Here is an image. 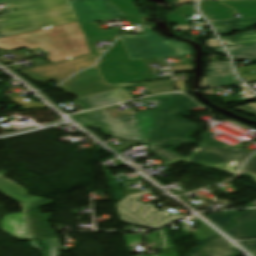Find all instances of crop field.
I'll return each instance as SVG.
<instances>
[{
    "mask_svg": "<svg viewBox=\"0 0 256 256\" xmlns=\"http://www.w3.org/2000/svg\"><path fill=\"white\" fill-rule=\"evenodd\" d=\"M60 88L77 98L116 90V88L104 82L96 66L73 76L70 80L62 83Z\"/></svg>",
    "mask_w": 256,
    "mask_h": 256,
    "instance_id": "11",
    "label": "crop field"
},
{
    "mask_svg": "<svg viewBox=\"0 0 256 256\" xmlns=\"http://www.w3.org/2000/svg\"><path fill=\"white\" fill-rule=\"evenodd\" d=\"M141 27L146 34L121 36L131 60L191 54L187 44L175 40L165 41L146 25Z\"/></svg>",
    "mask_w": 256,
    "mask_h": 256,
    "instance_id": "6",
    "label": "crop field"
},
{
    "mask_svg": "<svg viewBox=\"0 0 256 256\" xmlns=\"http://www.w3.org/2000/svg\"><path fill=\"white\" fill-rule=\"evenodd\" d=\"M227 49L232 56L256 55V43L247 45L228 46Z\"/></svg>",
    "mask_w": 256,
    "mask_h": 256,
    "instance_id": "24",
    "label": "crop field"
},
{
    "mask_svg": "<svg viewBox=\"0 0 256 256\" xmlns=\"http://www.w3.org/2000/svg\"><path fill=\"white\" fill-rule=\"evenodd\" d=\"M207 25V23H203V24H196L193 25V27H197V26H205ZM175 31H180V30H188L190 29V27L188 25H182V26H176L174 27Z\"/></svg>",
    "mask_w": 256,
    "mask_h": 256,
    "instance_id": "34",
    "label": "crop field"
},
{
    "mask_svg": "<svg viewBox=\"0 0 256 256\" xmlns=\"http://www.w3.org/2000/svg\"><path fill=\"white\" fill-rule=\"evenodd\" d=\"M233 109L256 116V102L255 103H247L245 105L237 106V107H234Z\"/></svg>",
    "mask_w": 256,
    "mask_h": 256,
    "instance_id": "28",
    "label": "crop field"
},
{
    "mask_svg": "<svg viewBox=\"0 0 256 256\" xmlns=\"http://www.w3.org/2000/svg\"><path fill=\"white\" fill-rule=\"evenodd\" d=\"M240 13L242 18L256 17V0H218Z\"/></svg>",
    "mask_w": 256,
    "mask_h": 256,
    "instance_id": "20",
    "label": "crop field"
},
{
    "mask_svg": "<svg viewBox=\"0 0 256 256\" xmlns=\"http://www.w3.org/2000/svg\"><path fill=\"white\" fill-rule=\"evenodd\" d=\"M200 8L210 21L231 20L235 15L234 9L218 2L200 1Z\"/></svg>",
    "mask_w": 256,
    "mask_h": 256,
    "instance_id": "17",
    "label": "crop field"
},
{
    "mask_svg": "<svg viewBox=\"0 0 256 256\" xmlns=\"http://www.w3.org/2000/svg\"><path fill=\"white\" fill-rule=\"evenodd\" d=\"M105 82L119 84L144 81L148 72L143 60L131 61L120 39L104 54L97 65Z\"/></svg>",
    "mask_w": 256,
    "mask_h": 256,
    "instance_id": "7",
    "label": "crop field"
},
{
    "mask_svg": "<svg viewBox=\"0 0 256 256\" xmlns=\"http://www.w3.org/2000/svg\"><path fill=\"white\" fill-rule=\"evenodd\" d=\"M225 45H236L256 42V31H250L247 33L222 38Z\"/></svg>",
    "mask_w": 256,
    "mask_h": 256,
    "instance_id": "23",
    "label": "crop field"
},
{
    "mask_svg": "<svg viewBox=\"0 0 256 256\" xmlns=\"http://www.w3.org/2000/svg\"><path fill=\"white\" fill-rule=\"evenodd\" d=\"M146 247L159 249L161 254L156 256H178L167 227L148 234Z\"/></svg>",
    "mask_w": 256,
    "mask_h": 256,
    "instance_id": "16",
    "label": "crop field"
},
{
    "mask_svg": "<svg viewBox=\"0 0 256 256\" xmlns=\"http://www.w3.org/2000/svg\"><path fill=\"white\" fill-rule=\"evenodd\" d=\"M21 47L39 48L54 63L92 53L78 21L0 39L1 49Z\"/></svg>",
    "mask_w": 256,
    "mask_h": 256,
    "instance_id": "2",
    "label": "crop field"
},
{
    "mask_svg": "<svg viewBox=\"0 0 256 256\" xmlns=\"http://www.w3.org/2000/svg\"><path fill=\"white\" fill-rule=\"evenodd\" d=\"M40 242L42 243L47 256H60L58 250L61 245L57 238L43 239L40 240ZM29 243L31 248L39 250L41 254L45 256L37 240L29 241Z\"/></svg>",
    "mask_w": 256,
    "mask_h": 256,
    "instance_id": "22",
    "label": "crop field"
},
{
    "mask_svg": "<svg viewBox=\"0 0 256 256\" xmlns=\"http://www.w3.org/2000/svg\"><path fill=\"white\" fill-rule=\"evenodd\" d=\"M9 0H0V3ZM80 24L124 15L108 0H70Z\"/></svg>",
    "mask_w": 256,
    "mask_h": 256,
    "instance_id": "12",
    "label": "crop field"
},
{
    "mask_svg": "<svg viewBox=\"0 0 256 256\" xmlns=\"http://www.w3.org/2000/svg\"><path fill=\"white\" fill-rule=\"evenodd\" d=\"M120 221L157 228L171 221L181 219L167 210L158 212L152 204L138 205L127 198H123L116 205Z\"/></svg>",
    "mask_w": 256,
    "mask_h": 256,
    "instance_id": "8",
    "label": "crop field"
},
{
    "mask_svg": "<svg viewBox=\"0 0 256 256\" xmlns=\"http://www.w3.org/2000/svg\"><path fill=\"white\" fill-rule=\"evenodd\" d=\"M243 93L241 95H237V96H231V97H224V98H221V100L226 103V104H229L231 102H235V101H239L243 98H246V99H250V98H256L252 93H250L246 87H243L241 88Z\"/></svg>",
    "mask_w": 256,
    "mask_h": 256,
    "instance_id": "26",
    "label": "crop field"
},
{
    "mask_svg": "<svg viewBox=\"0 0 256 256\" xmlns=\"http://www.w3.org/2000/svg\"><path fill=\"white\" fill-rule=\"evenodd\" d=\"M196 13L192 5H182L180 8L164 17Z\"/></svg>",
    "mask_w": 256,
    "mask_h": 256,
    "instance_id": "29",
    "label": "crop field"
},
{
    "mask_svg": "<svg viewBox=\"0 0 256 256\" xmlns=\"http://www.w3.org/2000/svg\"><path fill=\"white\" fill-rule=\"evenodd\" d=\"M141 85H144L148 89V91L151 93V95L173 91L172 79L146 82V83L113 85L117 87L119 90L73 100V102L83 110L100 107L104 105H109L113 103L123 102V101L133 99V97H131L124 88L141 86Z\"/></svg>",
    "mask_w": 256,
    "mask_h": 256,
    "instance_id": "9",
    "label": "crop field"
},
{
    "mask_svg": "<svg viewBox=\"0 0 256 256\" xmlns=\"http://www.w3.org/2000/svg\"><path fill=\"white\" fill-rule=\"evenodd\" d=\"M242 172L254 177L256 180V155L248 160Z\"/></svg>",
    "mask_w": 256,
    "mask_h": 256,
    "instance_id": "27",
    "label": "crop field"
},
{
    "mask_svg": "<svg viewBox=\"0 0 256 256\" xmlns=\"http://www.w3.org/2000/svg\"><path fill=\"white\" fill-rule=\"evenodd\" d=\"M95 64L93 55H87L72 60L49 64L46 66L21 71L37 83H44L55 79L58 83L66 79L74 72Z\"/></svg>",
    "mask_w": 256,
    "mask_h": 256,
    "instance_id": "10",
    "label": "crop field"
},
{
    "mask_svg": "<svg viewBox=\"0 0 256 256\" xmlns=\"http://www.w3.org/2000/svg\"><path fill=\"white\" fill-rule=\"evenodd\" d=\"M109 1L113 3L119 10H121L126 15L123 21L127 20L131 24L141 22L140 20V18H142L141 14L133 4L135 0H109Z\"/></svg>",
    "mask_w": 256,
    "mask_h": 256,
    "instance_id": "21",
    "label": "crop field"
},
{
    "mask_svg": "<svg viewBox=\"0 0 256 256\" xmlns=\"http://www.w3.org/2000/svg\"><path fill=\"white\" fill-rule=\"evenodd\" d=\"M180 3H183V2H188V1H193V0H178Z\"/></svg>",
    "mask_w": 256,
    "mask_h": 256,
    "instance_id": "38",
    "label": "crop field"
},
{
    "mask_svg": "<svg viewBox=\"0 0 256 256\" xmlns=\"http://www.w3.org/2000/svg\"><path fill=\"white\" fill-rule=\"evenodd\" d=\"M199 107L194 101L185 95L173 94L163 105L154 111L157 115L155 126L150 134L148 143L149 149L159 156L165 165L184 161L186 163L213 168L236 174L243 162L253 154V152L241 150L235 146H229L218 141L206 133L202 136V147L196 148L186 159L172 151L155 146H174L189 144L185 141V135L195 128V125L183 120L171 117L172 114H180L183 111H191L190 108Z\"/></svg>",
    "mask_w": 256,
    "mask_h": 256,
    "instance_id": "1",
    "label": "crop field"
},
{
    "mask_svg": "<svg viewBox=\"0 0 256 256\" xmlns=\"http://www.w3.org/2000/svg\"><path fill=\"white\" fill-rule=\"evenodd\" d=\"M85 127L100 128L105 134L146 144L155 122L154 111L114 119L106 108L73 115Z\"/></svg>",
    "mask_w": 256,
    "mask_h": 256,
    "instance_id": "5",
    "label": "crop field"
},
{
    "mask_svg": "<svg viewBox=\"0 0 256 256\" xmlns=\"http://www.w3.org/2000/svg\"><path fill=\"white\" fill-rule=\"evenodd\" d=\"M5 173L0 170V193L10 197L17 203H21L24 213L7 214L1 220L2 230L19 240L37 239L30 227L32 222L26 211L40 198L28 195L25 188L3 178ZM53 202L43 199L28 211L35 222V225L32 226L39 239L57 237L56 233L49 228L48 222L52 214H41L38 210L39 207L51 205Z\"/></svg>",
    "mask_w": 256,
    "mask_h": 256,
    "instance_id": "4",
    "label": "crop field"
},
{
    "mask_svg": "<svg viewBox=\"0 0 256 256\" xmlns=\"http://www.w3.org/2000/svg\"><path fill=\"white\" fill-rule=\"evenodd\" d=\"M124 236L126 239L129 252L139 253L137 250H135V246L142 245L143 235L134 234V235H124Z\"/></svg>",
    "mask_w": 256,
    "mask_h": 256,
    "instance_id": "25",
    "label": "crop field"
},
{
    "mask_svg": "<svg viewBox=\"0 0 256 256\" xmlns=\"http://www.w3.org/2000/svg\"><path fill=\"white\" fill-rule=\"evenodd\" d=\"M0 15V38L76 21L69 0H13Z\"/></svg>",
    "mask_w": 256,
    "mask_h": 256,
    "instance_id": "3",
    "label": "crop field"
},
{
    "mask_svg": "<svg viewBox=\"0 0 256 256\" xmlns=\"http://www.w3.org/2000/svg\"><path fill=\"white\" fill-rule=\"evenodd\" d=\"M217 233V232H216ZM219 235L218 233L207 238L206 240L196 244L197 247L193 248L185 256H203L200 248L206 244L210 239ZM206 256H240L239 251L230 242H228L221 235L216 237L210 244L203 248Z\"/></svg>",
    "mask_w": 256,
    "mask_h": 256,
    "instance_id": "15",
    "label": "crop field"
},
{
    "mask_svg": "<svg viewBox=\"0 0 256 256\" xmlns=\"http://www.w3.org/2000/svg\"><path fill=\"white\" fill-rule=\"evenodd\" d=\"M246 83L256 81V73L239 75Z\"/></svg>",
    "mask_w": 256,
    "mask_h": 256,
    "instance_id": "31",
    "label": "crop field"
},
{
    "mask_svg": "<svg viewBox=\"0 0 256 256\" xmlns=\"http://www.w3.org/2000/svg\"><path fill=\"white\" fill-rule=\"evenodd\" d=\"M234 61H248V60H256V56H248V57H233Z\"/></svg>",
    "mask_w": 256,
    "mask_h": 256,
    "instance_id": "35",
    "label": "crop field"
},
{
    "mask_svg": "<svg viewBox=\"0 0 256 256\" xmlns=\"http://www.w3.org/2000/svg\"><path fill=\"white\" fill-rule=\"evenodd\" d=\"M192 15H184V16H176V17H168V18H165V20L168 22V23H171V24H177V25H182V24H187L185 18L186 17H192Z\"/></svg>",
    "mask_w": 256,
    "mask_h": 256,
    "instance_id": "30",
    "label": "crop field"
},
{
    "mask_svg": "<svg viewBox=\"0 0 256 256\" xmlns=\"http://www.w3.org/2000/svg\"><path fill=\"white\" fill-rule=\"evenodd\" d=\"M243 243L247 248H249L256 255V240L244 241Z\"/></svg>",
    "mask_w": 256,
    "mask_h": 256,
    "instance_id": "32",
    "label": "crop field"
},
{
    "mask_svg": "<svg viewBox=\"0 0 256 256\" xmlns=\"http://www.w3.org/2000/svg\"><path fill=\"white\" fill-rule=\"evenodd\" d=\"M208 47H218L220 44L218 43L217 39H210L206 41Z\"/></svg>",
    "mask_w": 256,
    "mask_h": 256,
    "instance_id": "36",
    "label": "crop field"
},
{
    "mask_svg": "<svg viewBox=\"0 0 256 256\" xmlns=\"http://www.w3.org/2000/svg\"><path fill=\"white\" fill-rule=\"evenodd\" d=\"M218 34L242 30L256 25V18L211 22Z\"/></svg>",
    "mask_w": 256,
    "mask_h": 256,
    "instance_id": "19",
    "label": "crop field"
},
{
    "mask_svg": "<svg viewBox=\"0 0 256 256\" xmlns=\"http://www.w3.org/2000/svg\"><path fill=\"white\" fill-rule=\"evenodd\" d=\"M81 27L86 35V38L92 48L93 54L96 59L98 58V55H97L92 43H94L96 41H101V40L115 39L116 35L120 32V27L102 31L96 25V23L84 24V25H81Z\"/></svg>",
    "mask_w": 256,
    "mask_h": 256,
    "instance_id": "18",
    "label": "crop field"
},
{
    "mask_svg": "<svg viewBox=\"0 0 256 256\" xmlns=\"http://www.w3.org/2000/svg\"><path fill=\"white\" fill-rule=\"evenodd\" d=\"M237 212L209 216L211 221L217 224L222 229L232 225L231 218L236 215ZM236 225L226 229L236 240L256 238V209L246 210L238 217L234 218Z\"/></svg>",
    "mask_w": 256,
    "mask_h": 256,
    "instance_id": "13",
    "label": "crop field"
},
{
    "mask_svg": "<svg viewBox=\"0 0 256 256\" xmlns=\"http://www.w3.org/2000/svg\"><path fill=\"white\" fill-rule=\"evenodd\" d=\"M207 79L202 83V88H217L241 83L232 72L229 62L209 63Z\"/></svg>",
    "mask_w": 256,
    "mask_h": 256,
    "instance_id": "14",
    "label": "crop field"
},
{
    "mask_svg": "<svg viewBox=\"0 0 256 256\" xmlns=\"http://www.w3.org/2000/svg\"><path fill=\"white\" fill-rule=\"evenodd\" d=\"M174 73L182 71H193L192 65L172 67Z\"/></svg>",
    "mask_w": 256,
    "mask_h": 256,
    "instance_id": "33",
    "label": "crop field"
},
{
    "mask_svg": "<svg viewBox=\"0 0 256 256\" xmlns=\"http://www.w3.org/2000/svg\"><path fill=\"white\" fill-rule=\"evenodd\" d=\"M214 50V52H217V53H220V54H222V55H225V56H227L226 54H225V52L222 50V48H215V49H213Z\"/></svg>",
    "mask_w": 256,
    "mask_h": 256,
    "instance_id": "37",
    "label": "crop field"
}]
</instances>
